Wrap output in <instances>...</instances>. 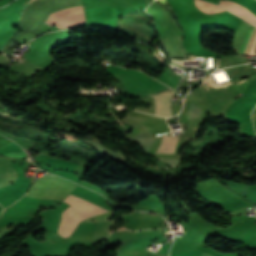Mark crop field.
Segmentation results:
<instances>
[{
  "instance_id": "crop-field-9",
  "label": "crop field",
  "mask_w": 256,
  "mask_h": 256,
  "mask_svg": "<svg viewBox=\"0 0 256 256\" xmlns=\"http://www.w3.org/2000/svg\"><path fill=\"white\" fill-rule=\"evenodd\" d=\"M79 7H82V6H79ZM74 8H78V7H73V8L65 9V10L53 13L51 15H54V14H57V13H60V12L66 11V10L74 9ZM77 12H84L83 7L82 8H78V9H74V10H70V11H66V12H63V13H60V14H57V15H54V16H51V17L48 18V20L45 23L49 24V23L55 21L56 19H58V18H60L62 16L69 15V14H72V13H77Z\"/></svg>"
},
{
  "instance_id": "crop-field-7",
  "label": "crop field",
  "mask_w": 256,
  "mask_h": 256,
  "mask_svg": "<svg viewBox=\"0 0 256 256\" xmlns=\"http://www.w3.org/2000/svg\"><path fill=\"white\" fill-rule=\"evenodd\" d=\"M24 151L20 146L13 143L3 149L0 150L1 155L5 156H16V157H26V155L23 153Z\"/></svg>"
},
{
  "instance_id": "crop-field-5",
  "label": "crop field",
  "mask_w": 256,
  "mask_h": 256,
  "mask_svg": "<svg viewBox=\"0 0 256 256\" xmlns=\"http://www.w3.org/2000/svg\"><path fill=\"white\" fill-rule=\"evenodd\" d=\"M220 5H222L223 7L229 9L230 11L236 13L237 15L243 17L244 19L248 20L249 22L253 23L256 25V16L253 15L250 11H248L247 9L234 4L232 2L229 1H225L222 0L220 2Z\"/></svg>"
},
{
  "instance_id": "crop-field-1",
  "label": "crop field",
  "mask_w": 256,
  "mask_h": 256,
  "mask_svg": "<svg viewBox=\"0 0 256 256\" xmlns=\"http://www.w3.org/2000/svg\"><path fill=\"white\" fill-rule=\"evenodd\" d=\"M64 202L70 204L71 206L93 216L97 214H101L104 212H108L109 210L103 209L101 207L95 206L73 194H69V196L64 200ZM69 207L63 213H61L62 219L57 230V233L62 238H67L73 232L79 221L87 219L91 216L73 208Z\"/></svg>"
},
{
  "instance_id": "crop-field-4",
  "label": "crop field",
  "mask_w": 256,
  "mask_h": 256,
  "mask_svg": "<svg viewBox=\"0 0 256 256\" xmlns=\"http://www.w3.org/2000/svg\"><path fill=\"white\" fill-rule=\"evenodd\" d=\"M175 91H163L158 95H154L155 98V112L154 114L162 117H171L170 99Z\"/></svg>"
},
{
  "instance_id": "crop-field-6",
  "label": "crop field",
  "mask_w": 256,
  "mask_h": 256,
  "mask_svg": "<svg viewBox=\"0 0 256 256\" xmlns=\"http://www.w3.org/2000/svg\"><path fill=\"white\" fill-rule=\"evenodd\" d=\"M177 138L175 136L164 135L163 143L161 144L158 152L174 153Z\"/></svg>"
},
{
  "instance_id": "crop-field-2",
  "label": "crop field",
  "mask_w": 256,
  "mask_h": 256,
  "mask_svg": "<svg viewBox=\"0 0 256 256\" xmlns=\"http://www.w3.org/2000/svg\"><path fill=\"white\" fill-rule=\"evenodd\" d=\"M76 186L58 176L46 174L35 181L27 195L62 200Z\"/></svg>"
},
{
  "instance_id": "crop-field-10",
  "label": "crop field",
  "mask_w": 256,
  "mask_h": 256,
  "mask_svg": "<svg viewBox=\"0 0 256 256\" xmlns=\"http://www.w3.org/2000/svg\"><path fill=\"white\" fill-rule=\"evenodd\" d=\"M1 207V206H0ZM3 208V207H2ZM4 209V208H3ZM1 214H2V209L0 208V216H1Z\"/></svg>"
},
{
  "instance_id": "crop-field-3",
  "label": "crop field",
  "mask_w": 256,
  "mask_h": 256,
  "mask_svg": "<svg viewBox=\"0 0 256 256\" xmlns=\"http://www.w3.org/2000/svg\"><path fill=\"white\" fill-rule=\"evenodd\" d=\"M256 36V28L251 24L243 21L237 31L233 41V49L236 53L249 54Z\"/></svg>"
},
{
  "instance_id": "crop-field-11",
  "label": "crop field",
  "mask_w": 256,
  "mask_h": 256,
  "mask_svg": "<svg viewBox=\"0 0 256 256\" xmlns=\"http://www.w3.org/2000/svg\"><path fill=\"white\" fill-rule=\"evenodd\" d=\"M33 1V0H30V2Z\"/></svg>"
},
{
  "instance_id": "crop-field-8",
  "label": "crop field",
  "mask_w": 256,
  "mask_h": 256,
  "mask_svg": "<svg viewBox=\"0 0 256 256\" xmlns=\"http://www.w3.org/2000/svg\"><path fill=\"white\" fill-rule=\"evenodd\" d=\"M194 3L197 8L201 9L205 13H216V12L224 11L222 8H220L216 5H212V4L200 1V0H194Z\"/></svg>"
}]
</instances>
